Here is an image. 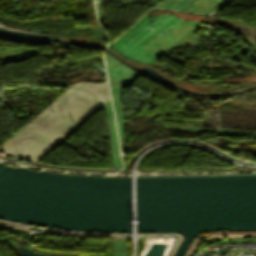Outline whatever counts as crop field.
Instances as JSON below:
<instances>
[{
    "label": "crop field",
    "mask_w": 256,
    "mask_h": 256,
    "mask_svg": "<svg viewBox=\"0 0 256 256\" xmlns=\"http://www.w3.org/2000/svg\"><path fill=\"white\" fill-rule=\"evenodd\" d=\"M109 98L106 83L74 84L3 144L0 152L35 161Z\"/></svg>",
    "instance_id": "obj_1"
}]
</instances>
